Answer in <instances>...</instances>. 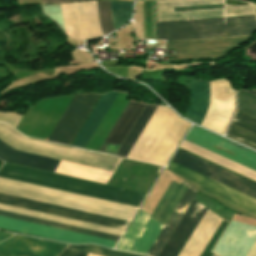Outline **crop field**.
I'll return each mask as SVG.
<instances>
[{"mask_svg": "<svg viewBox=\"0 0 256 256\" xmlns=\"http://www.w3.org/2000/svg\"><path fill=\"white\" fill-rule=\"evenodd\" d=\"M101 34L106 35L108 32L124 25L131 17V7L132 2H121V1H111L112 11L110 1H96Z\"/></svg>", "mask_w": 256, "mask_h": 256, "instance_id": "crop-field-15", "label": "crop field"}, {"mask_svg": "<svg viewBox=\"0 0 256 256\" xmlns=\"http://www.w3.org/2000/svg\"><path fill=\"white\" fill-rule=\"evenodd\" d=\"M0 139L24 152L115 172L121 159L60 145L28 139L9 125L0 124ZM0 140V159L55 172L59 160L20 152Z\"/></svg>", "mask_w": 256, "mask_h": 256, "instance_id": "crop-field-3", "label": "crop field"}, {"mask_svg": "<svg viewBox=\"0 0 256 256\" xmlns=\"http://www.w3.org/2000/svg\"><path fill=\"white\" fill-rule=\"evenodd\" d=\"M86 254L87 253L70 250L66 248L60 256H86Z\"/></svg>", "mask_w": 256, "mask_h": 256, "instance_id": "crop-field-22", "label": "crop field"}, {"mask_svg": "<svg viewBox=\"0 0 256 256\" xmlns=\"http://www.w3.org/2000/svg\"><path fill=\"white\" fill-rule=\"evenodd\" d=\"M19 1H21V0H19ZM45 1H46V3H52V2L78 1V0H45ZM45 1L41 0L42 4H44Z\"/></svg>", "mask_w": 256, "mask_h": 256, "instance_id": "crop-field-24", "label": "crop field"}, {"mask_svg": "<svg viewBox=\"0 0 256 256\" xmlns=\"http://www.w3.org/2000/svg\"><path fill=\"white\" fill-rule=\"evenodd\" d=\"M221 199L256 215V199L170 161L168 167Z\"/></svg>", "mask_w": 256, "mask_h": 256, "instance_id": "crop-field-10", "label": "crop field"}, {"mask_svg": "<svg viewBox=\"0 0 256 256\" xmlns=\"http://www.w3.org/2000/svg\"><path fill=\"white\" fill-rule=\"evenodd\" d=\"M191 104L186 118L202 124L210 95L211 81H198L190 79Z\"/></svg>", "mask_w": 256, "mask_h": 256, "instance_id": "crop-field-18", "label": "crop field"}, {"mask_svg": "<svg viewBox=\"0 0 256 256\" xmlns=\"http://www.w3.org/2000/svg\"><path fill=\"white\" fill-rule=\"evenodd\" d=\"M128 96L129 95L126 93L119 92L116 99L114 100L111 107L104 116L103 120L96 129L95 133L88 142L86 146L87 149L98 151L101 144L103 143V141L109 134L110 130L116 123L117 119L119 118V116L125 109L126 105L128 104Z\"/></svg>", "mask_w": 256, "mask_h": 256, "instance_id": "crop-field-16", "label": "crop field"}, {"mask_svg": "<svg viewBox=\"0 0 256 256\" xmlns=\"http://www.w3.org/2000/svg\"><path fill=\"white\" fill-rule=\"evenodd\" d=\"M12 234H8V233H5V232H1L0 231V242L7 239L9 236H11Z\"/></svg>", "mask_w": 256, "mask_h": 256, "instance_id": "crop-field-25", "label": "crop field"}, {"mask_svg": "<svg viewBox=\"0 0 256 256\" xmlns=\"http://www.w3.org/2000/svg\"><path fill=\"white\" fill-rule=\"evenodd\" d=\"M68 247L102 256H140L124 252L113 251L96 245H69Z\"/></svg>", "mask_w": 256, "mask_h": 256, "instance_id": "crop-field-20", "label": "crop field"}, {"mask_svg": "<svg viewBox=\"0 0 256 256\" xmlns=\"http://www.w3.org/2000/svg\"><path fill=\"white\" fill-rule=\"evenodd\" d=\"M188 187L189 186L183 182L181 185H179L171 181L162 198L153 210L152 217L167 221ZM197 191L198 190L190 185L189 189L187 190L186 194L182 198L181 202L177 206L176 210L166 225V221L151 218L150 214L140 209L136 218L118 245L117 249L130 251L131 247L133 246L134 242L136 241L137 237L139 236L140 232L150 217L149 221L147 222L146 226L132 247L131 252L146 255L149 248L160 233L161 229L165 225L162 232L147 253V255L150 256H157Z\"/></svg>", "mask_w": 256, "mask_h": 256, "instance_id": "crop-field-4", "label": "crop field"}, {"mask_svg": "<svg viewBox=\"0 0 256 256\" xmlns=\"http://www.w3.org/2000/svg\"><path fill=\"white\" fill-rule=\"evenodd\" d=\"M157 106H152V105H146L144 108L143 112L139 116L138 120L134 124L133 128L129 132L128 136L124 140L123 144L119 148L118 152L116 153L117 156H123L126 157L128 154L129 150L133 146L134 142L138 138L139 134L145 127L146 123L150 119L151 115L155 111Z\"/></svg>", "mask_w": 256, "mask_h": 256, "instance_id": "crop-field-19", "label": "crop field"}, {"mask_svg": "<svg viewBox=\"0 0 256 256\" xmlns=\"http://www.w3.org/2000/svg\"><path fill=\"white\" fill-rule=\"evenodd\" d=\"M241 91H243V92H245V93H248V94H250V95L256 97V91H250V90H241Z\"/></svg>", "mask_w": 256, "mask_h": 256, "instance_id": "crop-field-27", "label": "crop field"}, {"mask_svg": "<svg viewBox=\"0 0 256 256\" xmlns=\"http://www.w3.org/2000/svg\"><path fill=\"white\" fill-rule=\"evenodd\" d=\"M194 199L158 256H178L207 208ZM220 217L207 208L179 256H200Z\"/></svg>", "mask_w": 256, "mask_h": 256, "instance_id": "crop-field-5", "label": "crop field"}, {"mask_svg": "<svg viewBox=\"0 0 256 256\" xmlns=\"http://www.w3.org/2000/svg\"><path fill=\"white\" fill-rule=\"evenodd\" d=\"M0 210L18 213V214H22V215H27V216H31V217H36V218H40V219L50 220V221L68 224V225H72V226L82 227V228L100 231V232H104V233L114 234V235H118V236H121V234L123 233L122 230H118V229L108 228V227H104V226H99V225L90 224V223H86V222L76 221V220H72V219H67V218H63V217L44 214V213H40V212H35V211L12 207V206L3 205V204H0ZM4 211H0L1 216H6V217H10V218L19 219V220L29 221V222L47 225V226H51V227L61 228V229H65V230H70V231L88 234V235H92V236L102 237V238L111 239V240H115V241H118V239H119L118 236H114V235L104 234V233H100V232H95V231L86 230V229H82V228L72 227V226H68V225H63V224L54 223V222H50V221L40 220V219L31 218V217L22 216V215L13 214V213H8V212H4Z\"/></svg>", "mask_w": 256, "mask_h": 256, "instance_id": "crop-field-6", "label": "crop field"}, {"mask_svg": "<svg viewBox=\"0 0 256 256\" xmlns=\"http://www.w3.org/2000/svg\"><path fill=\"white\" fill-rule=\"evenodd\" d=\"M0 228L67 242L71 244L79 243H97L110 248L116 244L115 241L106 240L102 238L92 237L61 229L51 228L29 222L19 221L0 216Z\"/></svg>", "mask_w": 256, "mask_h": 256, "instance_id": "crop-field-11", "label": "crop field"}, {"mask_svg": "<svg viewBox=\"0 0 256 256\" xmlns=\"http://www.w3.org/2000/svg\"><path fill=\"white\" fill-rule=\"evenodd\" d=\"M226 3H246L225 0ZM223 0L157 1V12L178 10V6L216 4ZM225 3L226 16L256 14L251 3ZM223 4L186 6L179 10L222 8ZM224 16L223 9L157 13V21ZM256 15L204 18L157 22L158 39L173 40L209 36L253 33ZM251 34L167 41L166 47L176 48V60L223 57L227 52L248 40Z\"/></svg>", "mask_w": 256, "mask_h": 256, "instance_id": "crop-field-1", "label": "crop field"}, {"mask_svg": "<svg viewBox=\"0 0 256 256\" xmlns=\"http://www.w3.org/2000/svg\"><path fill=\"white\" fill-rule=\"evenodd\" d=\"M100 95H74L48 140L70 144Z\"/></svg>", "mask_w": 256, "mask_h": 256, "instance_id": "crop-field-8", "label": "crop field"}, {"mask_svg": "<svg viewBox=\"0 0 256 256\" xmlns=\"http://www.w3.org/2000/svg\"><path fill=\"white\" fill-rule=\"evenodd\" d=\"M246 256H256V241L253 244V246L251 247V249L249 250V252L247 253Z\"/></svg>", "mask_w": 256, "mask_h": 256, "instance_id": "crop-field-23", "label": "crop field"}, {"mask_svg": "<svg viewBox=\"0 0 256 256\" xmlns=\"http://www.w3.org/2000/svg\"><path fill=\"white\" fill-rule=\"evenodd\" d=\"M66 244L13 235L0 243V256H58Z\"/></svg>", "mask_w": 256, "mask_h": 256, "instance_id": "crop-field-13", "label": "crop field"}, {"mask_svg": "<svg viewBox=\"0 0 256 256\" xmlns=\"http://www.w3.org/2000/svg\"><path fill=\"white\" fill-rule=\"evenodd\" d=\"M172 161L256 198V184L177 149Z\"/></svg>", "mask_w": 256, "mask_h": 256, "instance_id": "crop-field-12", "label": "crop field"}, {"mask_svg": "<svg viewBox=\"0 0 256 256\" xmlns=\"http://www.w3.org/2000/svg\"><path fill=\"white\" fill-rule=\"evenodd\" d=\"M144 107V104L129 102L99 151L115 155Z\"/></svg>", "mask_w": 256, "mask_h": 256, "instance_id": "crop-field-14", "label": "crop field"}, {"mask_svg": "<svg viewBox=\"0 0 256 256\" xmlns=\"http://www.w3.org/2000/svg\"><path fill=\"white\" fill-rule=\"evenodd\" d=\"M0 203L125 230L128 222L0 193Z\"/></svg>", "mask_w": 256, "mask_h": 256, "instance_id": "crop-field-9", "label": "crop field"}, {"mask_svg": "<svg viewBox=\"0 0 256 256\" xmlns=\"http://www.w3.org/2000/svg\"><path fill=\"white\" fill-rule=\"evenodd\" d=\"M152 10H153V30H154V39H155L154 1H152Z\"/></svg>", "mask_w": 256, "mask_h": 256, "instance_id": "crop-field-26", "label": "crop field"}, {"mask_svg": "<svg viewBox=\"0 0 256 256\" xmlns=\"http://www.w3.org/2000/svg\"><path fill=\"white\" fill-rule=\"evenodd\" d=\"M185 140L256 171V153L223 137L192 126Z\"/></svg>", "mask_w": 256, "mask_h": 256, "instance_id": "crop-field-7", "label": "crop field"}, {"mask_svg": "<svg viewBox=\"0 0 256 256\" xmlns=\"http://www.w3.org/2000/svg\"><path fill=\"white\" fill-rule=\"evenodd\" d=\"M238 111L256 118V99L237 91Z\"/></svg>", "mask_w": 256, "mask_h": 256, "instance_id": "crop-field-21", "label": "crop field"}, {"mask_svg": "<svg viewBox=\"0 0 256 256\" xmlns=\"http://www.w3.org/2000/svg\"><path fill=\"white\" fill-rule=\"evenodd\" d=\"M0 176L139 207L145 193L4 163ZM0 177V192L130 221L136 207Z\"/></svg>", "mask_w": 256, "mask_h": 256, "instance_id": "crop-field-2", "label": "crop field"}, {"mask_svg": "<svg viewBox=\"0 0 256 256\" xmlns=\"http://www.w3.org/2000/svg\"><path fill=\"white\" fill-rule=\"evenodd\" d=\"M88 256H97V255H94V254H90V253H89Z\"/></svg>", "mask_w": 256, "mask_h": 256, "instance_id": "crop-field-28", "label": "crop field"}, {"mask_svg": "<svg viewBox=\"0 0 256 256\" xmlns=\"http://www.w3.org/2000/svg\"><path fill=\"white\" fill-rule=\"evenodd\" d=\"M225 136L256 149V119L237 111Z\"/></svg>", "mask_w": 256, "mask_h": 256, "instance_id": "crop-field-17", "label": "crop field"}]
</instances>
